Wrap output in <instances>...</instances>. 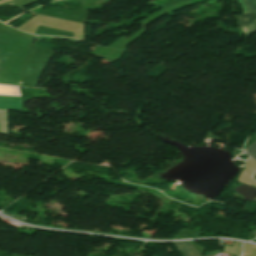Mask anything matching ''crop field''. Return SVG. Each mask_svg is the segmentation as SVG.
<instances>
[{"instance_id":"8a807250","label":"crop field","mask_w":256,"mask_h":256,"mask_svg":"<svg viewBox=\"0 0 256 256\" xmlns=\"http://www.w3.org/2000/svg\"><path fill=\"white\" fill-rule=\"evenodd\" d=\"M237 17L239 28L248 36L250 31L256 30V12L242 14Z\"/></svg>"},{"instance_id":"ac0d7876","label":"crop field","mask_w":256,"mask_h":256,"mask_svg":"<svg viewBox=\"0 0 256 256\" xmlns=\"http://www.w3.org/2000/svg\"><path fill=\"white\" fill-rule=\"evenodd\" d=\"M20 100L21 97L0 95V108L20 110Z\"/></svg>"},{"instance_id":"34b2d1b8","label":"crop field","mask_w":256,"mask_h":256,"mask_svg":"<svg viewBox=\"0 0 256 256\" xmlns=\"http://www.w3.org/2000/svg\"><path fill=\"white\" fill-rule=\"evenodd\" d=\"M183 256H200L197 251L190 245L189 242L174 243ZM214 256V255H209Z\"/></svg>"},{"instance_id":"412701ff","label":"crop field","mask_w":256,"mask_h":256,"mask_svg":"<svg viewBox=\"0 0 256 256\" xmlns=\"http://www.w3.org/2000/svg\"><path fill=\"white\" fill-rule=\"evenodd\" d=\"M243 151L251 155L256 160V141Z\"/></svg>"},{"instance_id":"f4fd0767","label":"crop field","mask_w":256,"mask_h":256,"mask_svg":"<svg viewBox=\"0 0 256 256\" xmlns=\"http://www.w3.org/2000/svg\"><path fill=\"white\" fill-rule=\"evenodd\" d=\"M249 12L256 11V0H246Z\"/></svg>"},{"instance_id":"dd49c442","label":"crop field","mask_w":256,"mask_h":256,"mask_svg":"<svg viewBox=\"0 0 256 256\" xmlns=\"http://www.w3.org/2000/svg\"><path fill=\"white\" fill-rule=\"evenodd\" d=\"M166 1H169V0H155V1H152V2H155L157 4H161V3H164Z\"/></svg>"},{"instance_id":"e52e79f7","label":"crop field","mask_w":256,"mask_h":256,"mask_svg":"<svg viewBox=\"0 0 256 256\" xmlns=\"http://www.w3.org/2000/svg\"><path fill=\"white\" fill-rule=\"evenodd\" d=\"M204 1H207V0H194V1H190V2L193 3V4H197V3H200V2H204Z\"/></svg>"},{"instance_id":"d8731c3e","label":"crop field","mask_w":256,"mask_h":256,"mask_svg":"<svg viewBox=\"0 0 256 256\" xmlns=\"http://www.w3.org/2000/svg\"><path fill=\"white\" fill-rule=\"evenodd\" d=\"M253 178H254V180L256 181V173L254 174Z\"/></svg>"}]
</instances>
